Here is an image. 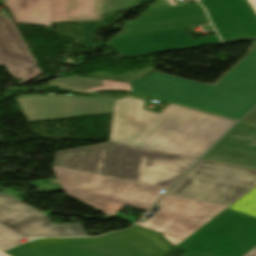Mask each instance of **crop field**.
<instances>
[{
    "mask_svg": "<svg viewBox=\"0 0 256 256\" xmlns=\"http://www.w3.org/2000/svg\"><path fill=\"white\" fill-rule=\"evenodd\" d=\"M0 66H5L19 85L41 74L10 17L0 15Z\"/></svg>",
    "mask_w": 256,
    "mask_h": 256,
    "instance_id": "cbeb9de0",
    "label": "crop field"
},
{
    "mask_svg": "<svg viewBox=\"0 0 256 256\" xmlns=\"http://www.w3.org/2000/svg\"><path fill=\"white\" fill-rule=\"evenodd\" d=\"M12 256H162L132 228L99 238L36 239L5 251Z\"/></svg>",
    "mask_w": 256,
    "mask_h": 256,
    "instance_id": "f4fd0767",
    "label": "crop field"
},
{
    "mask_svg": "<svg viewBox=\"0 0 256 256\" xmlns=\"http://www.w3.org/2000/svg\"><path fill=\"white\" fill-rule=\"evenodd\" d=\"M218 43L220 41L217 35L191 40L184 29L108 41V44L119 52V57H133Z\"/></svg>",
    "mask_w": 256,
    "mask_h": 256,
    "instance_id": "d1516ede",
    "label": "crop field"
},
{
    "mask_svg": "<svg viewBox=\"0 0 256 256\" xmlns=\"http://www.w3.org/2000/svg\"><path fill=\"white\" fill-rule=\"evenodd\" d=\"M203 159L256 169V126L238 122Z\"/></svg>",
    "mask_w": 256,
    "mask_h": 256,
    "instance_id": "22f410ed",
    "label": "crop field"
},
{
    "mask_svg": "<svg viewBox=\"0 0 256 256\" xmlns=\"http://www.w3.org/2000/svg\"><path fill=\"white\" fill-rule=\"evenodd\" d=\"M244 256H256V247L254 249H252L251 251H249Z\"/></svg>",
    "mask_w": 256,
    "mask_h": 256,
    "instance_id": "dafd665d",
    "label": "crop field"
},
{
    "mask_svg": "<svg viewBox=\"0 0 256 256\" xmlns=\"http://www.w3.org/2000/svg\"><path fill=\"white\" fill-rule=\"evenodd\" d=\"M240 121L256 125V107Z\"/></svg>",
    "mask_w": 256,
    "mask_h": 256,
    "instance_id": "214f88e0",
    "label": "crop field"
},
{
    "mask_svg": "<svg viewBox=\"0 0 256 256\" xmlns=\"http://www.w3.org/2000/svg\"><path fill=\"white\" fill-rule=\"evenodd\" d=\"M53 170L67 195L109 216L125 205L146 211L162 195V187L56 166Z\"/></svg>",
    "mask_w": 256,
    "mask_h": 256,
    "instance_id": "412701ff",
    "label": "crop field"
},
{
    "mask_svg": "<svg viewBox=\"0 0 256 256\" xmlns=\"http://www.w3.org/2000/svg\"><path fill=\"white\" fill-rule=\"evenodd\" d=\"M26 121L113 113L109 141L200 158L235 121L168 104L159 113L131 97L16 99Z\"/></svg>",
    "mask_w": 256,
    "mask_h": 256,
    "instance_id": "8a807250",
    "label": "crop field"
},
{
    "mask_svg": "<svg viewBox=\"0 0 256 256\" xmlns=\"http://www.w3.org/2000/svg\"><path fill=\"white\" fill-rule=\"evenodd\" d=\"M256 186V170L201 160L167 194L229 206Z\"/></svg>",
    "mask_w": 256,
    "mask_h": 256,
    "instance_id": "dd49c442",
    "label": "crop field"
},
{
    "mask_svg": "<svg viewBox=\"0 0 256 256\" xmlns=\"http://www.w3.org/2000/svg\"><path fill=\"white\" fill-rule=\"evenodd\" d=\"M35 239H36V238H35ZM31 240H34V239H28V241H31ZM28 241H27V242H28ZM25 243H26V242H25ZM20 244H23V243H19V244H17V245H14V246H12V247L7 248V249L13 248V247L18 246V245H20ZM7 249H4V250H2V251H5V250H7Z\"/></svg>",
    "mask_w": 256,
    "mask_h": 256,
    "instance_id": "a9b5d70f",
    "label": "crop field"
},
{
    "mask_svg": "<svg viewBox=\"0 0 256 256\" xmlns=\"http://www.w3.org/2000/svg\"><path fill=\"white\" fill-rule=\"evenodd\" d=\"M0 224L24 237L85 236L80 225L51 224L47 215L1 193Z\"/></svg>",
    "mask_w": 256,
    "mask_h": 256,
    "instance_id": "5a996713",
    "label": "crop field"
},
{
    "mask_svg": "<svg viewBox=\"0 0 256 256\" xmlns=\"http://www.w3.org/2000/svg\"><path fill=\"white\" fill-rule=\"evenodd\" d=\"M49 85L52 87L85 92V93H91L97 90H110V89H126L128 91H131L129 87L130 84L128 85L126 83L83 78V77H76V76H71L68 78H55L49 81Z\"/></svg>",
    "mask_w": 256,
    "mask_h": 256,
    "instance_id": "733c2abd",
    "label": "crop field"
},
{
    "mask_svg": "<svg viewBox=\"0 0 256 256\" xmlns=\"http://www.w3.org/2000/svg\"><path fill=\"white\" fill-rule=\"evenodd\" d=\"M196 158L108 142L56 153V166L170 188Z\"/></svg>",
    "mask_w": 256,
    "mask_h": 256,
    "instance_id": "34b2d1b8",
    "label": "crop field"
},
{
    "mask_svg": "<svg viewBox=\"0 0 256 256\" xmlns=\"http://www.w3.org/2000/svg\"><path fill=\"white\" fill-rule=\"evenodd\" d=\"M52 0H7L15 22L50 25Z\"/></svg>",
    "mask_w": 256,
    "mask_h": 256,
    "instance_id": "d9b57169",
    "label": "crop field"
},
{
    "mask_svg": "<svg viewBox=\"0 0 256 256\" xmlns=\"http://www.w3.org/2000/svg\"><path fill=\"white\" fill-rule=\"evenodd\" d=\"M185 256H199V255H195V254L188 253V254H186Z\"/></svg>",
    "mask_w": 256,
    "mask_h": 256,
    "instance_id": "730fd06b",
    "label": "crop field"
},
{
    "mask_svg": "<svg viewBox=\"0 0 256 256\" xmlns=\"http://www.w3.org/2000/svg\"><path fill=\"white\" fill-rule=\"evenodd\" d=\"M256 245V218L225 209L178 248L211 256H243Z\"/></svg>",
    "mask_w": 256,
    "mask_h": 256,
    "instance_id": "e52e79f7",
    "label": "crop field"
},
{
    "mask_svg": "<svg viewBox=\"0 0 256 256\" xmlns=\"http://www.w3.org/2000/svg\"><path fill=\"white\" fill-rule=\"evenodd\" d=\"M221 39L225 42L256 37V14L247 0H203Z\"/></svg>",
    "mask_w": 256,
    "mask_h": 256,
    "instance_id": "28ad6ade",
    "label": "crop field"
},
{
    "mask_svg": "<svg viewBox=\"0 0 256 256\" xmlns=\"http://www.w3.org/2000/svg\"><path fill=\"white\" fill-rule=\"evenodd\" d=\"M187 199V198H186ZM192 200V199H191ZM203 202V201H202ZM208 203V202H207Z\"/></svg>",
    "mask_w": 256,
    "mask_h": 256,
    "instance_id": "ae1a2a85",
    "label": "crop field"
},
{
    "mask_svg": "<svg viewBox=\"0 0 256 256\" xmlns=\"http://www.w3.org/2000/svg\"><path fill=\"white\" fill-rule=\"evenodd\" d=\"M130 87L134 93L240 119L256 104V45L216 86L153 72Z\"/></svg>",
    "mask_w": 256,
    "mask_h": 256,
    "instance_id": "ac0d7876",
    "label": "crop field"
},
{
    "mask_svg": "<svg viewBox=\"0 0 256 256\" xmlns=\"http://www.w3.org/2000/svg\"><path fill=\"white\" fill-rule=\"evenodd\" d=\"M0 2H2V0H0Z\"/></svg>",
    "mask_w": 256,
    "mask_h": 256,
    "instance_id": "eef30255",
    "label": "crop field"
},
{
    "mask_svg": "<svg viewBox=\"0 0 256 256\" xmlns=\"http://www.w3.org/2000/svg\"><path fill=\"white\" fill-rule=\"evenodd\" d=\"M103 0H53L51 22L101 20Z\"/></svg>",
    "mask_w": 256,
    "mask_h": 256,
    "instance_id": "5142ce71",
    "label": "crop field"
},
{
    "mask_svg": "<svg viewBox=\"0 0 256 256\" xmlns=\"http://www.w3.org/2000/svg\"><path fill=\"white\" fill-rule=\"evenodd\" d=\"M18 238L20 237L0 226V250L19 243Z\"/></svg>",
    "mask_w": 256,
    "mask_h": 256,
    "instance_id": "bc2a9ffb",
    "label": "crop field"
},
{
    "mask_svg": "<svg viewBox=\"0 0 256 256\" xmlns=\"http://www.w3.org/2000/svg\"><path fill=\"white\" fill-rule=\"evenodd\" d=\"M0 256H9V255L4 253V252H2V251H0Z\"/></svg>",
    "mask_w": 256,
    "mask_h": 256,
    "instance_id": "4177f3b9",
    "label": "crop field"
},
{
    "mask_svg": "<svg viewBox=\"0 0 256 256\" xmlns=\"http://www.w3.org/2000/svg\"><path fill=\"white\" fill-rule=\"evenodd\" d=\"M154 218H155L154 216H151V217H150L147 221H145L144 223L137 222L136 225H139V226H141V225H143V224L146 225V224L150 223Z\"/></svg>",
    "mask_w": 256,
    "mask_h": 256,
    "instance_id": "92a150f3",
    "label": "crop field"
},
{
    "mask_svg": "<svg viewBox=\"0 0 256 256\" xmlns=\"http://www.w3.org/2000/svg\"><path fill=\"white\" fill-rule=\"evenodd\" d=\"M251 6L253 7L254 11L256 12V0H248Z\"/></svg>",
    "mask_w": 256,
    "mask_h": 256,
    "instance_id": "00972430",
    "label": "crop field"
},
{
    "mask_svg": "<svg viewBox=\"0 0 256 256\" xmlns=\"http://www.w3.org/2000/svg\"><path fill=\"white\" fill-rule=\"evenodd\" d=\"M228 208L256 217V187Z\"/></svg>",
    "mask_w": 256,
    "mask_h": 256,
    "instance_id": "4a817a6b",
    "label": "crop field"
},
{
    "mask_svg": "<svg viewBox=\"0 0 256 256\" xmlns=\"http://www.w3.org/2000/svg\"><path fill=\"white\" fill-rule=\"evenodd\" d=\"M206 23H208V20L198 3L152 7L144 10L132 21L129 28L123 29L112 39Z\"/></svg>",
    "mask_w": 256,
    "mask_h": 256,
    "instance_id": "3316defc",
    "label": "crop field"
},
{
    "mask_svg": "<svg viewBox=\"0 0 256 256\" xmlns=\"http://www.w3.org/2000/svg\"><path fill=\"white\" fill-rule=\"evenodd\" d=\"M158 205L156 218L142 226L162 232L164 237L177 245L219 214L225 208L197 201L165 196Z\"/></svg>",
    "mask_w": 256,
    "mask_h": 256,
    "instance_id": "d8731c3e",
    "label": "crop field"
}]
</instances>
